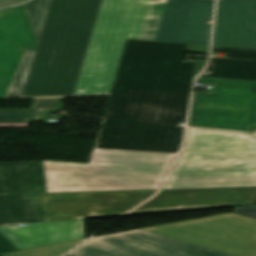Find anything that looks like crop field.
Here are the masks:
<instances>
[{
  "mask_svg": "<svg viewBox=\"0 0 256 256\" xmlns=\"http://www.w3.org/2000/svg\"><path fill=\"white\" fill-rule=\"evenodd\" d=\"M37 48L5 97L108 96L126 38L209 44L214 0H31Z\"/></svg>",
  "mask_w": 256,
  "mask_h": 256,
  "instance_id": "8a807250",
  "label": "crop field"
},
{
  "mask_svg": "<svg viewBox=\"0 0 256 256\" xmlns=\"http://www.w3.org/2000/svg\"><path fill=\"white\" fill-rule=\"evenodd\" d=\"M209 45L127 39L104 117L177 125L185 122L192 76L206 63L181 62Z\"/></svg>",
  "mask_w": 256,
  "mask_h": 256,
  "instance_id": "ac0d7876",
  "label": "crop field"
},
{
  "mask_svg": "<svg viewBox=\"0 0 256 256\" xmlns=\"http://www.w3.org/2000/svg\"><path fill=\"white\" fill-rule=\"evenodd\" d=\"M66 256H256V220L229 213L96 237Z\"/></svg>",
  "mask_w": 256,
  "mask_h": 256,
  "instance_id": "34b2d1b8",
  "label": "crop field"
},
{
  "mask_svg": "<svg viewBox=\"0 0 256 256\" xmlns=\"http://www.w3.org/2000/svg\"><path fill=\"white\" fill-rule=\"evenodd\" d=\"M256 186V138L188 128L163 189Z\"/></svg>",
  "mask_w": 256,
  "mask_h": 256,
  "instance_id": "412701ff",
  "label": "crop field"
},
{
  "mask_svg": "<svg viewBox=\"0 0 256 256\" xmlns=\"http://www.w3.org/2000/svg\"><path fill=\"white\" fill-rule=\"evenodd\" d=\"M175 156L94 149L90 164L43 161L47 193L159 189Z\"/></svg>",
  "mask_w": 256,
  "mask_h": 256,
  "instance_id": "f4fd0767",
  "label": "crop field"
},
{
  "mask_svg": "<svg viewBox=\"0 0 256 256\" xmlns=\"http://www.w3.org/2000/svg\"><path fill=\"white\" fill-rule=\"evenodd\" d=\"M214 83L210 95L193 94L188 126L256 134V83L198 78Z\"/></svg>",
  "mask_w": 256,
  "mask_h": 256,
  "instance_id": "dd49c442",
  "label": "crop field"
},
{
  "mask_svg": "<svg viewBox=\"0 0 256 256\" xmlns=\"http://www.w3.org/2000/svg\"><path fill=\"white\" fill-rule=\"evenodd\" d=\"M42 161L0 163V225L45 221Z\"/></svg>",
  "mask_w": 256,
  "mask_h": 256,
  "instance_id": "e52e79f7",
  "label": "crop field"
},
{
  "mask_svg": "<svg viewBox=\"0 0 256 256\" xmlns=\"http://www.w3.org/2000/svg\"><path fill=\"white\" fill-rule=\"evenodd\" d=\"M157 190L40 193L46 221L121 216Z\"/></svg>",
  "mask_w": 256,
  "mask_h": 256,
  "instance_id": "d8731c3e",
  "label": "crop field"
},
{
  "mask_svg": "<svg viewBox=\"0 0 256 256\" xmlns=\"http://www.w3.org/2000/svg\"><path fill=\"white\" fill-rule=\"evenodd\" d=\"M184 128L105 118L97 148L177 153Z\"/></svg>",
  "mask_w": 256,
  "mask_h": 256,
  "instance_id": "5a996713",
  "label": "crop field"
},
{
  "mask_svg": "<svg viewBox=\"0 0 256 256\" xmlns=\"http://www.w3.org/2000/svg\"><path fill=\"white\" fill-rule=\"evenodd\" d=\"M256 187L162 190L132 214L239 207L255 204Z\"/></svg>",
  "mask_w": 256,
  "mask_h": 256,
  "instance_id": "3316defc",
  "label": "crop field"
},
{
  "mask_svg": "<svg viewBox=\"0 0 256 256\" xmlns=\"http://www.w3.org/2000/svg\"><path fill=\"white\" fill-rule=\"evenodd\" d=\"M34 47L24 6L0 11V99L4 98L24 50Z\"/></svg>",
  "mask_w": 256,
  "mask_h": 256,
  "instance_id": "28ad6ade",
  "label": "crop field"
},
{
  "mask_svg": "<svg viewBox=\"0 0 256 256\" xmlns=\"http://www.w3.org/2000/svg\"><path fill=\"white\" fill-rule=\"evenodd\" d=\"M212 45L256 48V0H218Z\"/></svg>",
  "mask_w": 256,
  "mask_h": 256,
  "instance_id": "d1516ede",
  "label": "crop field"
},
{
  "mask_svg": "<svg viewBox=\"0 0 256 256\" xmlns=\"http://www.w3.org/2000/svg\"><path fill=\"white\" fill-rule=\"evenodd\" d=\"M20 250L84 238L83 220L0 227Z\"/></svg>",
  "mask_w": 256,
  "mask_h": 256,
  "instance_id": "22f410ed",
  "label": "crop field"
},
{
  "mask_svg": "<svg viewBox=\"0 0 256 256\" xmlns=\"http://www.w3.org/2000/svg\"><path fill=\"white\" fill-rule=\"evenodd\" d=\"M63 110L62 98L36 99L31 110L0 111V127H27L33 120H44L45 114Z\"/></svg>",
  "mask_w": 256,
  "mask_h": 256,
  "instance_id": "cbeb9de0",
  "label": "crop field"
},
{
  "mask_svg": "<svg viewBox=\"0 0 256 256\" xmlns=\"http://www.w3.org/2000/svg\"><path fill=\"white\" fill-rule=\"evenodd\" d=\"M206 71L211 73L205 77L256 81V62L210 58Z\"/></svg>",
  "mask_w": 256,
  "mask_h": 256,
  "instance_id": "5142ce71",
  "label": "crop field"
},
{
  "mask_svg": "<svg viewBox=\"0 0 256 256\" xmlns=\"http://www.w3.org/2000/svg\"><path fill=\"white\" fill-rule=\"evenodd\" d=\"M83 240L84 239L7 254L11 256H60Z\"/></svg>",
  "mask_w": 256,
  "mask_h": 256,
  "instance_id": "d9b57169",
  "label": "crop field"
},
{
  "mask_svg": "<svg viewBox=\"0 0 256 256\" xmlns=\"http://www.w3.org/2000/svg\"><path fill=\"white\" fill-rule=\"evenodd\" d=\"M212 52H224L227 58H240V59H255L256 49H244V48H231L215 46L212 48Z\"/></svg>",
  "mask_w": 256,
  "mask_h": 256,
  "instance_id": "733c2abd",
  "label": "crop field"
},
{
  "mask_svg": "<svg viewBox=\"0 0 256 256\" xmlns=\"http://www.w3.org/2000/svg\"><path fill=\"white\" fill-rule=\"evenodd\" d=\"M233 213L241 214L256 219V206L234 208Z\"/></svg>",
  "mask_w": 256,
  "mask_h": 256,
  "instance_id": "4a817a6b",
  "label": "crop field"
},
{
  "mask_svg": "<svg viewBox=\"0 0 256 256\" xmlns=\"http://www.w3.org/2000/svg\"><path fill=\"white\" fill-rule=\"evenodd\" d=\"M17 249L0 234V253L16 251Z\"/></svg>",
  "mask_w": 256,
  "mask_h": 256,
  "instance_id": "bc2a9ffb",
  "label": "crop field"
},
{
  "mask_svg": "<svg viewBox=\"0 0 256 256\" xmlns=\"http://www.w3.org/2000/svg\"><path fill=\"white\" fill-rule=\"evenodd\" d=\"M21 2H23V1H21V0H0V8L16 5Z\"/></svg>",
  "mask_w": 256,
  "mask_h": 256,
  "instance_id": "214f88e0",
  "label": "crop field"
}]
</instances>
